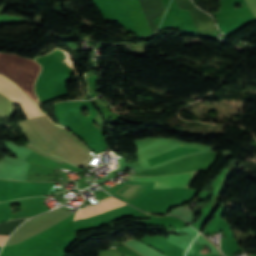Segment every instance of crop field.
<instances>
[{"instance_id": "crop-field-4", "label": "crop field", "mask_w": 256, "mask_h": 256, "mask_svg": "<svg viewBox=\"0 0 256 256\" xmlns=\"http://www.w3.org/2000/svg\"><path fill=\"white\" fill-rule=\"evenodd\" d=\"M134 210H136V209L127 205V204H125V205L120 206V207H118L116 209H113L111 211L101 213L98 216H95V217H92V218H89V219L71 224V226H72L73 229L82 228V227H86V226H92V225H95V224H99V223L109 221V220H111L115 217L125 215V214H127L129 212H132Z\"/></svg>"}, {"instance_id": "crop-field-5", "label": "crop field", "mask_w": 256, "mask_h": 256, "mask_svg": "<svg viewBox=\"0 0 256 256\" xmlns=\"http://www.w3.org/2000/svg\"><path fill=\"white\" fill-rule=\"evenodd\" d=\"M146 12L152 33L157 29L154 19L164 14L166 8L163 0H141Z\"/></svg>"}, {"instance_id": "crop-field-7", "label": "crop field", "mask_w": 256, "mask_h": 256, "mask_svg": "<svg viewBox=\"0 0 256 256\" xmlns=\"http://www.w3.org/2000/svg\"><path fill=\"white\" fill-rule=\"evenodd\" d=\"M6 237H7V236H2V235H0V246H2V244H3V242H4V240H5Z\"/></svg>"}, {"instance_id": "crop-field-3", "label": "crop field", "mask_w": 256, "mask_h": 256, "mask_svg": "<svg viewBox=\"0 0 256 256\" xmlns=\"http://www.w3.org/2000/svg\"><path fill=\"white\" fill-rule=\"evenodd\" d=\"M199 171L185 172L165 176H129L132 181H155L154 189L158 188H187L191 180Z\"/></svg>"}, {"instance_id": "crop-field-2", "label": "crop field", "mask_w": 256, "mask_h": 256, "mask_svg": "<svg viewBox=\"0 0 256 256\" xmlns=\"http://www.w3.org/2000/svg\"><path fill=\"white\" fill-rule=\"evenodd\" d=\"M0 93L16 104H21L27 119L45 115L40 107L32 102L13 82L0 75Z\"/></svg>"}, {"instance_id": "crop-field-8", "label": "crop field", "mask_w": 256, "mask_h": 256, "mask_svg": "<svg viewBox=\"0 0 256 256\" xmlns=\"http://www.w3.org/2000/svg\"><path fill=\"white\" fill-rule=\"evenodd\" d=\"M12 219V218H11Z\"/></svg>"}, {"instance_id": "crop-field-6", "label": "crop field", "mask_w": 256, "mask_h": 256, "mask_svg": "<svg viewBox=\"0 0 256 256\" xmlns=\"http://www.w3.org/2000/svg\"><path fill=\"white\" fill-rule=\"evenodd\" d=\"M249 8L253 12L254 16L256 17V0H246Z\"/></svg>"}, {"instance_id": "crop-field-1", "label": "crop field", "mask_w": 256, "mask_h": 256, "mask_svg": "<svg viewBox=\"0 0 256 256\" xmlns=\"http://www.w3.org/2000/svg\"><path fill=\"white\" fill-rule=\"evenodd\" d=\"M40 71V66L33 60L20 56L0 53V73L15 82L34 101L37 98L33 92L34 81Z\"/></svg>"}]
</instances>
